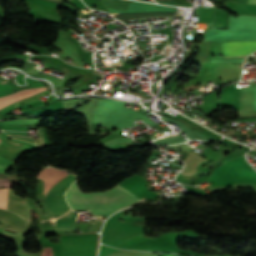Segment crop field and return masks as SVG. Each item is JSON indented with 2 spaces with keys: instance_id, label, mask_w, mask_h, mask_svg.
<instances>
[{
  "instance_id": "crop-field-1",
  "label": "crop field",
  "mask_w": 256,
  "mask_h": 256,
  "mask_svg": "<svg viewBox=\"0 0 256 256\" xmlns=\"http://www.w3.org/2000/svg\"><path fill=\"white\" fill-rule=\"evenodd\" d=\"M132 194L128 189L116 185L110 190L104 192H94V193H82L77 187V181H75L74 185L70 187L68 192L66 193V199L69 204H85V203H103L109 201L119 200L125 196ZM134 196V194L123 198L119 201L103 203V204H85V205H70V206H104L108 204H113L117 202H121L127 198ZM142 200L138 197L134 196L128 200H125L121 203L108 205L104 207H72V209H88L95 217H108L116 210L128 206L133 203L141 202Z\"/></svg>"
},
{
  "instance_id": "crop-field-2",
  "label": "crop field",
  "mask_w": 256,
  "mask_h": 256,
  "mask_svg": "<svg viewBox=\"0 0 256 256\" xmlns=\"http://www.w3.org/2000/svg\"><path fill=\"white\" fill-rule=\"evenodd\" d=\"M256 50V41H225L222 42L224 58L246 57Z\"/></svg>"
},
{
  "instance_id": "crop-field-3",
  "label": "crop field",
  "mask_w": 256,
  "mask_h": 256,
  "mask_svg": "<svg viewBox=\"0 0 256 256\" xmlns=\"http://www.w3.org/2000/svg\"><path fill=\"white\" fill-rule=\"evenodd\" d=\"M45 87L33 88L28 90L17 91L11 95H7L0 98V108L18 100L21 98L29 97L35 93L45 90Z\"/></svg>"
},
{
  "instance_id": "crop-field-4",
  "label": "crop field",
  "mask_w": 256,
  "mask_h": 256,
  "mask_svg": "<svg viewBox=\"0 0 256 256\" xmlns=\"http://www.w3.org/2000/svg\"><path fill=\"white\" fill-rule=\"evenodd\" d=\"M51 227L77 229V224H75L73 220L57 218L56 221L51 225Z\"/></svg>"
},
{
  "instance_id": "crop-field-5",
  "label": "crop field",
  "mask_w": 256,
  "mask_h": 256,
  "mask_svg": "<svg viewBox=\"0 0 256 256\" xmlns=\"http://www.w3.org/2000/svg\"><path fill=\"white\" fill-rule=\"evenodd\" d=\"M7 190L8 189H0V207L6 209L7 202Z\"/></svg>"
},
{
  "instance_id": "crop-field-6",
  "label": "crop field",
  "mask_w": 256,
  "mask_h": 256,
  "mask_svg": "<svg viewBox=\"0 0 256 256\" xmlns=\"http://www.w3.org/2000/svg\"><path fill=\"white\" fill-rule=\"evenodd\" d=\"M245 3L256 4V0H246Z\"/></svg>"
},
{
  "instance_id": "crop-field-7",
  "label": "crop field",
  "mask_w": 256,
  "mask_h": 256,
  "mask_svg": "<svg viewBox=\"0 0 256 256\" xmlns=\"http://www.w3.org/2000/svg\"><path fill=\"white\" fill-rule=\"evenodd\" d=\"M4 132H6V131H4ZM16 133H26V132H16Z\"/></svg>"
},
{
  "instance_id": "crop-field-8",
  "label": "crop field",
  "mask_w": 256,
  "mask_h": 256,
  "mask_svg": "<svg viewBox=\"0 0 256 256\" xmlns=\"http://www.w3.org/2000/svg\"><path fill=\"white\" fill-rule=\"evenodd\" d=\"M1 141V140H0Z\"/></svg>"
},
{
  "instance_id": "crop-field-9",
  "label": "crop field",
  "mask_w": 256,
  "mask_h": 256,
  "mask_svg": "<svg viewBox=\"0 0 256 256\" xmlns=\"http://www.w3.org/2000/svg\"><path fill=\"white\" fill-rule=\"evenodd\" d=\"M4 83V82H3Z\"/></svg>"
}]
</instances>
